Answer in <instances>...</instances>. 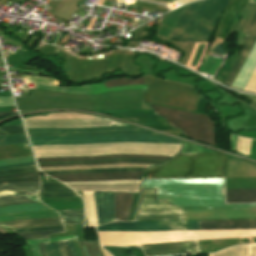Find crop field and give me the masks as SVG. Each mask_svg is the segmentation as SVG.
Here are the masks:
<instances>
[{"instance_id": "crop-field-1", "label": "crop field", "mask_w": 256, "mask_h": 256, "mask_svg": "<svg viewBox=\"0 0 256 256\" xmlns=\"http://www.w3.org/2000/svg\"><path fill=\"white\" fill-rule=\"evenodd\" d=\"M135 221L256 218V203L225 204L223 179L143 181Z\"/></svg>"}, {"instance_id": "crop-field-2", "label": "crop field", "mask_w": 256, "mask_h": 256, "mask_svg": "<svg viewBox=\"0 0 256 256\" xmlns=\"http://www.w3.org/2000/svg\"><path fill=\"white\" fill-rule=\"evenodd\" d=\"M256 228V220L208 221V229ZM207 229V221L113 222L98 232ZM148 255L200 252L198 241L145 245Z\"/></svg>"}, {"instance_id": "crop-field-3", "label": "crop field", "mask_w": 256, "mask_h": 256, "mask_svg": "<svg viewBox=\"0 0 256 256\" xmlns=\"http://www.w3.org/2000/svg\"><path fill=\"white\" fill-rule=\"evenodd\" d=\"M37 158L92 156L103 154H140L173 156L180 150V145L147 143H106L83 145H52L33 147Z\"/></svg>"}, {"instance_id": "crop-field-4", "label": "crop field", "mask_w": 256, "mask_h": 256, "mask_svg": "<svg viewBox=\"0 0 256 256\" xmlns=\"http://www.w3.org/2000/svg\"><path fill=\"white\" fill-rule=\"evenodd\" d=\"M229 0H204L188 4L168 38L191 42L209 41Z\"/></svg>"}, {"instance_id": "crop-field-5", "label": "crop field", "mask_w": 256, "mask_h": 256, "mask_svg": "<svg viewBox=\"0 0 256 256\" xmlns=\"http://www.w3.org/2000/svg\"><path fill=\"white\" fill-rule=\"evenodd\" d=\"M226 160L227 156L220 153L179 154L174 160L149 169L148 174L150 178L223 176Z\"/></svg>"}, {"instance_id": "crop-field-6", "label": "crop field", "mask_w": 256, "mask_h": 256, "mask_svg": "<svg viewBox=\"0 0 256 256\" xmlns=\"http://www.w3.org/2000/svg\"><path fill=\"white\" fill-rule=\"evenodd\" d=\"M145 79L148 83V90L143 94L145 102L195 110L200 96L194 89L148 76Z\"/></svg>"}, {"instance_id": "crop-field-7", "label": "crop field", "mask_w": 256, "mask_h": 256, "mask_svg": "<svg viewBox=\"0 0 256 256\" xmlns=\"http://www.w3.org/2000/svg\"><path fill=\"white\" fill-rule=\"evenodd\" d=\"M149 106L156 115L165 118L168 124L181 129L183 135L205 144L215 145L213 121L206 116L154 105Z\"/></svg>"}, {"instance_id": "crop-field-8", "label": "crop field", "mask_w": 256, "mask_h": 256, "mask_svg": "<svg viewBox=\"0 0 256 256\" xmlns=\"http://www.w3.org/2000/svg\"><path fill=\"white\" fill-rule=\"evenodd\" d=\"M33 146L52 144H82L106 142H151V143H176L181 141L164 135H113L103 137H37L29 138Z\"/></svg>"}, {"instance_id": "crop-field-9", "label": "crop field", "mask_w": 256, "mask_h": 256, "mask_svg": "<svg viewBox=\"0 0 256 256\" xmlns=\"http://www.w3.org/2000/svg\"><path fill=\"white\" fill-rule=\"evenodd\" d=\"M29 137L36 136H103L113 134H156L136 127H106L92 129H27Z\"/></svg>"}, {"instance_id": "crop-field-10", "label": "crop field", "mask_w": 256, "mask_h": 256, "mask_svg": "<svg viewBox=\"0 0 256 256\" xmlns=\"http://www.w3.org/2000/svg\"><path fill=\"white\" fill-rule=\"evenodd\" d=\"M22 78L27 79V83L56 86V79H52V78L32 77V76H22ZM53 86L35 85V88L54 90V91H60L65 93H72V94H100V93L109 92V91L147 88V85L107 88L103 83L96 84V85L80 86V87H70V88H59V87H53Z\"/></svg>"}, {"instance_id": "crop-field-11", "label": "crop field", "mask_w": 256, "mask_h": 256, "mask_svg": "<svg viewBox=\"0 0 256 256\" xmlns=\"http://www.w3.org/2000/svg\"><path fill=\"white\" fill-rule=\"evenodd\" d=\"M39 189L40 182L2 184L0 192L15 190L18 195L0 198V207L40 202L37 199Z\"/></svg>"}, {"instance_id": "crop-field-12", "label": "crop field", "mask_w": 256, "mask_h": 256, "mask_svg": "<svg viewBox=\"0 0 256 256\" xmlns=\"http://www.w3.org/2000/svg\"><path fill=\"white\" fill-rule=\"evenodd\" d=\"M26 128H77V127H102L113 125H125L117 121L105 118L96 120H34L24 121Z\"/></svg>"}, {"instance_id": "crop-field-13", "label": "crop field", "mask_w": 256, "mask_h": 256, "mask_svg": "<svg viewBox=\"0 0 256 256\" xmlns=\"http://www.w3.org/2000/svg\"><path fill=\"white\" fill-rule=\"evenodd\" d=\"M142 172H118V173H96V174H69L51 175L61 181H101V180H120L137 179L139 180Z\"/></svg>"}, {"instance_id": "crop-field-14", "label": "crop field", "mask_w": 256, "mask_h": 256, "mask_svg": "<svg viewBox=\"0 0 256 256\" xmlns=\"http://www.w3.org/2000/svg\"><path fill=\"white\" fill-rule=\"evenodd\" d=\"M99 225L114 221V192H94Z\"/></svg>"}, {"instance_id": "crop-field-15", "label": "crop field", "mask_w": 256, "mask_h": 256, "mask_svg": "<svg viewBox=\"0 0 256 256\" xmlns=\"http://www.w3.org/2000/svg\"><path fill=\"white\" fill-rule=\"evenodd\" d=\"M249 3H254L256 4V0H249ZM251 23V22H250ZM256 39V15L248 29V32L244 38V45L243 48L241 50V53L234 65V67L232 68L228 78L225 81V84L229 85L231 84L233 78L235 77L237 71L239 70L242 62L244 61L246 55L248 54L251 46L253 45L254 41Z\"/></svg>"}, {"instance_id": "crop-field-16", "label": "crop field", "mask_w": 256, "mask_h": 256, "mask_svg": "<svg viewBox=\"0 0 256 256\" xmlns=\"http://www.w3.org/2000/svg\"><path fill=\"white\" fill-rule=\"evenodd\" d=\"M58 225H63L60 218L58 219H27V220H19V221L0 222V226H7L11 229L48 227V226H58Z\"/></svg>"}, {"instance_id": "crop-field-17", "label": "crop field", "mask_w": 256, "mask_h": 256, "mask_svg": "<svg viewBox=\"0 0 256 256\" xmlns=\"http://www.w3.org/2000/svg\"><path fill=\"white\" fill-rule=\"evenodd\" d=\"M113 158H131V159H162L167 160L170 157L158 156H139V155H111V156H94V157H69V158H42L37 159L38 162H62V161H90Z\"/></svg>"}, {"instance_id": "crop-field-18", "label": "crop field", "mask_w": 256, "mask_h": 256, "mask_svg": "<svg viewBox=\"0 0 256 256\" xmlns=\"http://www.w3.org/2000/svg\"><path fill=\"white\" fill-rule=\"evenodd\" d=\"M75 191H124L136 192L139 191V185L123 184V185H71L69 186Z\"/></svg>"}, {"instance_id": "crop-field-19", "label": "crop field", "mask_w": 256, "mask_h": 256, "mask_svg": "<svg viewBox=\"0 0 256 256\" xmlns=\"http://www.w3.org/2000/svg\"><path fill=\"white\" fill-rule=\"evenodd\" d=\"M84 217L61 218L65 226L82 224ZM83 256H103L98 240L79 243Z\"/></svg>"}, {"instance_id": "crop-field-20", "label": "crop field", "mask_w": 256, "mask_h": 256, "mask_svg": "<svg viewBox=\"0 0 256 256\" xmlns=\"http://www.w3.org/2000/svg\"><path fill=\"white\" fill-rule=\"evenodd\" d=\"M132 193L115 192V219L127 221Z\"/></svg>"}, {"instance_id": "crop-field-21", "label": "crop field", "mask_w": 256, "mask_h": 256, "mask_svg": "<svg viewBox=\"0 0 256 256\" xmlns=\"http://www.w3.org/2000/svg\"><path fill=\"white\" fill-rule=\"evenodd\" d=\"M64 196H78L77 193L66 187L62 183L42 184V189L39 198L47 197H64Z\"/></svg>"}, {"instance_id": "crop-field-22", "label": "crop field", "mask_w": 256, "mask_h": 256, "mask_svg": "<svg viewBox=\"0 0 256 256\" xmlns=\"http://www.w3.org/2000/svg\"><path fill=\"white\" fill-rule=\"evenodd\" d=\"M227 203L256 202V189L226 190Z\"/></svg>"}, {"instance_id": "crop-field-23", "label": "crop field", "mask_w": 256, "mask_h": 256, "mask_svg": "<svg viewBox=\"0 0 256 256\" xmlns=\"http://www.w3.org/2000/svg\"><path fill=\"white\" fill-rule=\"evenodd\" d=\"M83 199L86 211L85 219L88 227L97 226L98 222L93 192H83Z\"/></svg>"}, {"instance_id": "crop-field-24", "label": "crop field", "mask_w": 256, "mask_h": 256, "mask_svg": "<svg viewBox=\"0 0 256 256\" xmlns=\"http://www.w3.org/2000/svg\"><path fill=\"white\" fill-rule=\"evenodd\" d=\"M32 181H40L38 171L19 173V174L0 175V183L32 182Z\"/></svg>"}, {"instance_id": "crop-field-25", "label": "crop field", "mask_w": 256, "mask_h": 256, "mask_svg": "<svg viewBox=\"0 0 256 256\" xmlns=\"http://www.w3.org/2000/svg\"><path fill=\"white\" fill-rule=\"evenodd\" d=\"M153 165L147 164H112V165H99V166H75V167H47L40 168L42 171L47 170H64V169H90V168H120V167H144L148 168Z\"/></svg>"}, {"instance_id": "crop-field-26", "label": "crop field", "mask_w": 256, "mask_h": 256, "mask_svg": "<svg viewBox=\"0 0 256 256\" xmlns=\"http://www.w3.org/2000/svg\"><path fill=\"white\" fill-rule=\"evenodd\" d=\"M33 210H52V209L46 207L43 203H35V204H26V205L0 208V214L33 211Z\"/></svg>"}, {"instance_id": "crop-field-27", "label": "crop field", "mask_w": 256, "mask_h": 256, "mask_svg": "<svg viewBox=\"0 0 256 256\" xmlns=\"http://www.w3.org/2000/svg\"><path fill=\"white\" fill-rule=\"evenodd\" d=\"M143 168H121V169H90V170H64V171H47L50 174H68V173H94V172H113V171H144Z\"/></svg>"}, {"instance_id": "crop-field-28", "label": "crop field", "mask_w": 256, "mask_h": 256, "mask_svg": "<svg viewBox=\"0 0 256 256\" xmlns=\"http://www.w3.org/2000/svg\"><path fill=\"white\" fill-rule=\"evenodd\" d=\"M251 245L231 247L210 256H250Z\"/></svg>"}, {"instance_id": "crop-field-29", "label": "crop field", "mask_w": 256, "mask_h": 256, "mask_svg": "<svg viewBox=\"0 0 256 256\" xmlns=\"http://www.w3.org/2000/svg\"><path fill=\"white\" fill-rule=\"evenodd\" d=\"M107 87L113 86H124V85H133V84H144L143 76L134 80L126 77L114 78L108 81L103 82Z\"/></svg>"}, {"instance_id": "crop-field-30", "label": "crop field", "mask_w": 256, "mask_h": 256, "mask_svg": "<svg viewBox=\"0 0 256 256\" xmlns=\"http://www.w3.org/2000/svg\"><path fill=\"white\" fill-rule=\"evenodd\" d=\"M65 230H59V231H38V232H24V233H18L20 237L24 239H36V238H47L49 234L62 232Z\"/></svg>"}, {"instance_id": "crop-field-31", "label": "crop field", "mask_w": 256, "mask_h": 256, "mask_svg": "<svg viewBox=\"0 0 256 256\" xmlns=\"http://www.w3.org/2000/svg\"><path fill=\"white\" fill-rule=\"evenodd\" d=\"M28 142L26 135H14V136H0V145L1 144H12V143H23Z\"/></svg>"}, {"instance_id": "crop-field-32", "label": "crop field", "mask_w": 256, "mask_h": 256, "mask_svg": "<svg viewBox=\"0 0 256 256\" xmlns=\"http://www.w3.org/2000/svg\"><path fill=\"white\" fill-rule=\"evenodd\" d=\"M66 185L70 184H110V183H135L139 184V181L121 180V181H102V182H63Z\"/></svg>"}, {"instance_id": "crop-field-33", "label": "crop field", "mask_w": 256, "mask_h": 256, "mask_svg": "<svg viewBox=\"0 0 256 256\" xmlns=\"http://www.w3.org/2000/svg\"><path fill=\"white\" fill-rule=\"evenodd\" d=\"M0 130L8 134L25 133L22 125L3 126L0 128Z\"/></svg>"}, {"instance_id": "crop-field-34", "label": "crop field", "mask_w": 256, "mask_h": 256, "mask_svg": "<svg viewBox=\"0 0 256 256\" xmlns=\"http://www.w3.org/2000/svg\"><path fill=\"white\" fill-rule=\"evenodd\" d=\"M62 217H79L84 216L83 209L78 210H62L58 211Z\"/></svg>"}, {"instance_id": "crop-field-35", "label": "crop field", "mask_w": 256, "mask_h": 256, "mask_svg": "<svg viewBox=\"0 0 256 256\" xmlns=\"http://www.w3.org/2000/svg\"><path fill=\"white\" fill-rule=\"evenodd\" d=\"M33 160H34L33 157L9 159V160H0V166L16 164V163H23V162H29V161H33Z\"/></svg>"}, {"instance_id": "crop-field-36", "label": "crop field", "mask_w": 256, "mask_h": 256, "mask_svg": "<svg viewBox=\"0 0 256 256\" xmlns=\"http://www.w3.org/2000/svg\"><path fill=\"white\" fill-rule=\"evenodd\" d=\"M35 170H38V169L36 166H33V167L4 170V171H0V174L19 173V172H27V171H35Z\"/></svg>"}, {"instance_id": "crop-field-37", "label": "crop field", "mask_w": 256, "mask_h": 256, "mask_svg": "<svg viewBox=\"0 0 256 256\" xmlns=\"http://www.w3.org/2000/svg\"><path fill=\"white\" fill-rule=\"evenodd\" d=\"M149 163V164H160L154 162H130V161H115V162H103V163H89V164H75V165H92V164H111V163ZM40 167H47V166H64V165H39Z\"/></svg>"}, {"instance_id": "crop-field-38", "label": "crop field", "mask_w": 256, "mask_h": 256, "mask_svg": "<svg viewBox=\"0 0 256 256\" xmlns=\"http://www.w3.org/2000/svg\"><path fill=\"white\" fill-rule=\"evenodd\" d=\"M49 256H60L56 243L45 244Z\"/></svg>"}, {"instance_id": "crop-field-39", "label": "crop field", "mask_w": 256, "mask_h": 256, "mask_svg": "<svg viewBox=\"0 0 256 256\" xmlns=\"http://www.w3.org/2000/svg\"><path fill=\"white\" fill-rule=\"evenodd\" d=\"M245 90L254 91L256 92V69L253 72L250 80L248 81Z\"/></svg>"}, {"instance_id": "crop-field-40", "label": "crop field", "mask_w": 256, "mask_h": 256, "mask_svg": "<svg viewBox=\"0 0 256 256\" xmlns=\"http://www.w3.org/2000/svg\"><path fill=\"white\" fill-rule=\"evenodd\" d=\"M53 229H64V227L59 226V227H49V228L19 229V230H12V231H13V233H17V232H24V231L53 230Z\"/></svg>"}, {"instance_id": "crop-field-41", "label": "crop field", "mask_w": 256, "mask_h": 256, "mask_svg": "<svg viewBox=\"0 0 256 256\" xmlns=\"http://www.w3.org/2000/svg\"><path fill=\"white\" fill-rule=\"evenodd\" d=\"M116 160H130V159H116ZM114 161V160H106ZM138 161H152V160H138ZM91 162H102V161H91ZM154 162H163V161H154ZM74 163H89V162H62V163H38V164H74Z\"/></svg>"}, {"instance_id": "crop-field-42", "label": "crop field", "mask_w": 256, "mask_h": 256, "mask_svg": "<svg viewBox=\"0 0 256 256\" xmlns=\"http://www.w3.org/2000/svg\"><path fill=\"white\" fill-rule=\"evenodd\" d=\"M14 105L12 97H2L0 98V106H10Z\"/></svg>"}, {"instance_id": "crop-field-43", "label": "crop field", "mask_w": 256, "mask_h": 256, "mask_svg": "<svg viewBox=\"0 0 256 256\" xmlns=\"http://www.w3.org/2000/svg\"><path fill=\"white\" fill-rule=\"evenodd\" d=\"M32 165H36L35 162L0 167V170L10 169V168H17V167H24V166H32Z\"/></svg>"}, {"instance_id": "crop-field-44", "label": "crop field", "mask_w": 256, "mask_h": 256, "mask_svg": "<svg viewBox=\"0 0 256 256\" xmlns=\"http://www.w3.org/2000/svg\"><path fill=\"white\" fill-rule=\"evenodd\" d=\"M62 243H63V247H64V250H65L66 255H67V256H72V255H71V252H70V250H69V247H68L67 242L64 241V242H62Z\"/></svg>"}, {"instance_id": "crop-field-45", "label": "crop field", "mask_w": 256, "mask_h": 256, "mask_svg": "<svg viewBox=\"0 0 256 256\" xmlns=\"http://www.w3.org/2000/svg\"><path fill=\"white\" fill-rule=\"evenodd\" d=\"M38 245H39V249H40L41 255H42V256H47V253H46V251H45L44 244H38Z\"/></svg>"}, {"instance_id": "crop-field-46", "label": "crop field", "mask_w": 256, "mask_h": 256, "mask_svg": "<svg viewBox=\"0 0 256 256\" xmlns=\"http://www.w3.org/2000/svg\"><path fill=\"white\" fill-rule=\"evenodd\" d=\"M67 242H68L69 247H70V249H71L72 255H73V256H77L76 253H75V249H74V245H73L72 241L69 240V241H67Z\"/></svg>"}, {"instance_id": "crop-field-47", "label": "crop field", "mask_w": 256, "mask_h": 256, "mask_svg": "<svg viewBox=\"0 0 256 256\" xmlns=\"http://www.w3.org/2000/svg\"><path fill=\"white\" fill-rule=\"evenodd\" d=\"M57 244H58V247H59V250H60L61 256H66V255H65V253H64V250H63L62 244H61V243H57Z\"/></svg>"}, {"instance_id": "crop-field-48", "label": "crop field", "mask_w": 256, "mask_h": 256, "mask_svg": "<svg viewBox=\"0 0 256 256\" xmlns=\"http://www.w3.org/2000/svg\"><path fill=\"white\" fill-rule=\"evenodd\" d=\"M176 1H178V0H176ZM190 1H195V0H188V2H190ZM178 2H180V3L184 4V3H186V2H187V0H179Z\"/></svg>"}, {"instance_id": "crop-field-49", "label": "crop field", "mask_w": 256, "mask_h": 256, "mask_svg": "<svg viewBox=\"0 0 256 256\" xmlns=\"http://www.w3.org/2000/svg\"><path fill=\"white\" fill-rule=\"evenodd\" d=\"M11 112H0V117L1 116H4V115H7V114H10Z\"/></svg>"}, {"instance_id": "crop-field-50", "label": "crop field", "mask_w": 256, "mask_h": 256, "mask_svg": "<svg viewBox=\"0 0 256 256\" xmlns=\"http://www.w3.org/2000/svg\"><path fill=\"white\" fill-rule=\"evenodd\" d=\"M3 134H5V133L0 132V135H3Z\"/></svg>"}]
</instances>
